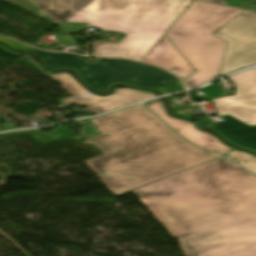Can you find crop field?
I'll use <instances>...</instances> for the list:
<instances>
[{"label": "crop field", "instance_id": "1", "mask_svg": "<svg viewBox=\"0 0 256 256\" xmlns=\"http://www.w3.org/2000/svg\"><path fill=\"white\" fill-rule=\"evenodd\" d=\"M233 163L218 158L132 192L186 256H256V177Z\"/></svg>", "mask_w": 256, "mask_h": 256}, {"label": "crop field", "instance_id": "2", "mask_svg": "<svg viewBox=\"0 0 256 256\" xmlns=\"http://www.w3.org/2000/svg\"><path fill=\"white\" fill-rule=\"evenodd\" d=\"M91 120L101 134L84 141L105 154L86 163L117 196L221 157L187 143L142 105Z\"/></svg>", "mask_w": 256, "mask_h": 256}, {"label": "crop field", "instance_id": "3", "mask_svg": "<svg viewBox=\"0 0 256 256\" xmlns=\"http://www.w3.org/2000/svg\"><path fill=\"white\" fill-rule=\"evenodd\" d=\"M190 1L91 0L66 22L127 34L117 44L93 42V55L141 61Z\"/></svg>", "mask_w": 256, "mask_h": 256}, {"label": "crop field", "instance_id": "4", "mask_svg": "<svg viewBox=\"0 0 256 256\" xmlns=\"http://www.w3.org/2000/svg\"><path fill=\"white\" fill-rule=\"evenodd\" d=\"M242 9L193 0L165 33L197 70L184 81L194 88L218 75L227 42L212 35Z\"/></svg>", "mask_w": 256, "mask_h": 256}, {"label": "crop field", "instance_id": "5", "mask_svg": "<svg viewBox=\"0 0 256 256\" xmlns=\"http://www.w3.org/2000/svg\"><path fill=\"white\" fill-rule=\"evenodd\" d=\"M48 66L57 69L68 67L80 71L81 79L93 89L103 92L116 83L156 88L171 85L179 80L166 71L149 65L122 60L96 58L89 63L84 56L69 53H53L32 48Z\"/></svg>", "mask_w": 256, "mask_h": 256}, {"label": "crop field", "instance_id": "6", "mask_svg": "<svg viewBox=\"0 0 256 256\" xmlns=\"http://www.w3.org/2000/svg\"><path fill=\"white\" fill-rule=\"evenodd\" d=\"M213 34L228 41L220 75L256 64V13L244 11Z\"/></svg>", "mask_w": 256, "mask_h": 256}, {"label": "crop field", "instance_id": "7", "mask_svg": "<svg viewBox=\"0 0 256 256\" xmlns=\"http://www.w3.org/2000/svg\"><path fill=\"white\" fill-rule=\"evenodd\" d=\"M48 76L56 81H62V88L73 97L62 99L60 100L61 103L66 105L77 103L81 106H87L95 114L156 96L147 92L125 88L115 89L112 95L101 97L83 88L66 72Z\"/></svg>", "mask_w": 256, "mask_h": 256}, {"label": "crop field", "instance_id": "8", "mask_svg": "<svg viewBox=\"0 0 256 256\" xmlns=\"http://www.w3.org/2000/svg\"><path fill=\"white\" fill-rule=\"evenodd\" d=\"M229 78L236 84V96L213 100L219 115L230 114L251 126L256 125V68Z\"/></svg>", "mask_w": 256, "mask_h": 256}, {"label": "crop field", "instance_id": "9", "mask_svg": "<svg viewBox=\"0 0 256 256\" xmlns=\"http://www.w3.org/2000/svg\"><path fill=\"white\" fill-rule=\"evenodd\" d=\"M154 113L162 118L167 124L175 129L186 140L202 147L219 153H226L232 148L225 146L220 140L213 135L206 134L194 127V123L174 119L167 115L162 101L147 105Z\"/></svg>", "mask_w": 256, "mask_h": 256}, {"label": "crop field", "instance_id": "10", "mask_svg": "<svg viewBox=\"0 0 256 256\" xmlns=\"http://www.w3.org/2000/svg\"><path fill=\"white\" fill-rule=\"evenodd\" d=\"M142 62L161 66L168 70L179 69L181 72L175 74L182 80L195 72L165 35L161 37Z\"/></svg>", "mask_w": 256, "mask_h": 256}, {"label": "crop field", "instance_id": "11", "mask_svg": "<svg viewBox=\"0 0 256 256\" xmlns=\"http://www.w3.org/2000/svg\"><path fill=\"white\" fill-rule=\"evenodd\" d=\"M89 1L90 0H40V8L59 25L60 35H66L76 33L85 27L86 24L65 23V20Z\"/></svg>", "mask_w": 256, "mask_h": 256}, {"label": "crop field", "instance_id": "12", "mask_svg": "<svg viewBox=\"0 0 256 256\" xmlns=\"http://www.w3.org/2000/svg\"><path fill=\"white\" fill-rule=\"evenodd\" d=\"M225 121L207 124L232 143L256 151V126H249L229 115L222 116Z\"/></svg>", "mask_w": 256, "mask_h": 256}, {"label": "crop field", "instance_id": "13", "mask_svg": "<svg viewBox=\"0 0 256 256\" xmlns=\"http://www.w3.org/2000/svg\"><path fill=\"white\" fill-rule=\"evenodd\" d=\"M20 133H29L45 142L52 141V140H57V139H62L66 137H71L70 134H68L66 131L63 129L59 128L55 131H52L48 134H45L39 130H33V131H21V132H11V133H5L3 134L4 136L6 135H12V134H20Z\"/></svg>", "mask_w": 256, "mask_h": 256}, {"label": "crop field", "instance_id": "14", "mask_svg": "<svg viewBox=\"0 0 256 256\" xmlns=\"http://www.w3.org/2000/svg\"><path fill=\"white\" fill-rule=\"evenodd\" d=\"M227 155H230L234 158H236L239 162L240 165L243 167L247 168L254 174H256V156L251 155L247 152H241L237 149L231 151Z\"/></svg>", "mask_w": 256, "mask_h": 256}, {"label": "crop field", "instance_id": "15", "mask_svg": "<svg viewBox=\"0 0 256 256\" xmlns=\"http://www.w3.org/2000/svg\"><path fill=\"white\" fill-rule=\"evenodd\" d=\"M202 90L206 93V95L212 99V98H216V97H220V96H224V94H221L216 87L211 84L205 88H202Z\"/></svg>", "mask_w": 256, "mask_h": 256}, {"label": "crop field", "instance_id": "16", "mask_svg": "<svg viewBox=\"0 0 256 256\" xmlns=\"http://www.w3.org/2000/svg\"><path fill=\"white\" fill-rule=\"evenodd\" d=\"M0 41L7 43L9 46H11L14 49L28 50L29 48H31L29 46H26V45H23V44H20V43H17V42L8 40V39H4V38H1V37H0Z\"/></svg>", "mask_w": 256, "mask_h": 256}, {"label": "crop field", "instance_id": "17", "mask_svg": "<svg viewBox=\"0 0 256 256\" xmlns=\"http://www.w3.org/2000/svg\"><path fill=\"white\" fill-rule=\"evenodd\" d=\"M181 90H184V88L181 86V84L158 89V91L162 92L163 94L172 93V92L181 91Z\"/></svg>", "mask_w": 256, "mask_h": 256}, {"label": "crop field", "instance_id": "18", "mask_svg": "<svg viewBox=\"0 0 256 256\" xmlns=\"http://www.w3.org/2000/svg\"><path fill=\"white\" fill-rule=\"evenodd\" d=\"M0 49H1L2 51L6 52L7 54H10V55H14V56H21V55H23V53L12 52V51L6 49L5 47H3V46H1V45H0Z\"/></svg>", "mask_w": 256, "mask_h": 256}, {"label": "crop field", "instance_id": "19", "mask_svg": "<svg viewBox=\"0 0 256 256\" xmlns=\"http://www.w3.org/2000/svg\"><path fill=\"white\" fill-rule=\"evenodd\" d=\"M202 1H208V2H213L217 4H222V5H225V2H226L224 0H202Z\"/></svg>", "mask_w": 256, "mask_h": 256}]
</instances>
